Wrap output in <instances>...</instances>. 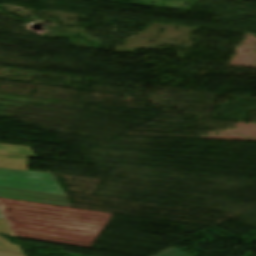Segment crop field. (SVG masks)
Wrapping results in <instances>:
<instances>
[{
  "mask_svg": "<svg viewBox=\"0 0 256 256\" xmlns=\"http://www.w3.org/2000/svg\"><path fill=\"white\" fill-rule=\"evenodd\" d=\"M0 168L28 171V158L0 155Z\"/></svg>",
  "mask_w": 256,
  "mask_h": 256,
  "instance_id": "34b2d1b8",
  "label": "crop field"
},
{
  "mask_svg": "<svg viewBox=\"0 0 256 256\" xmlns=\"http://www.w3.org/2000/svg\"><path fill=\"white\" fill-rule=\"evenodd\" d=\"M0 154L36 158L30 147L0 144Z\"/></svg>",
  "mask_w": 256,
  "mask_h": 256,
  "instance_id": "412701ff",
  "label": "crop field"
},
{
  "mask_svg": "<svg viewBox=\"0 0 256 256\" xmlns=\"http://www.w3.org/2000/svg\"><path fill=\"white\" fill-rule=\"evenodd\" d=\"M0 213L16 237L90 248L111 213L0 198Z\"/></svg>",
  "mask_w": 256,
  "mask_h": 256,
  "instance_id": "8a807250",
  "label": "crop field"
},
{
  "mask_svg": "<svg viewBox=\"0 0 256 256\" xmlns=\"http://www.w3.org/2000/svg\"><path fill=\"white\" fill-rule=\"evenodd\" d=\"M156 256H191V255L172 247Z\"/></svg>",
  "mask_w": 256,
  "mask_h": 256,
  "instance_id": "dd49c442",
  "label": "crop field"
},
{
  "mask_svg": "<svg viewBox=\"0 0 256 256\" xmlns=\"http://www.w3.org/2000/svg\"><path fill=\"white\" fill-rule=\"evenodd\" d=\"M0 234L14 236V234L10 231L5 220L0 219ZM0 250L14 251V252H22L21 247L10 245L7 239H3L0 237Z\"/></svg>",
  "mask_w": 256,
  "mask_h": 256,
  "instance_id": "f4fd0767",
  "label": "crop field"
},
{
  "mask_svg": "<svg viewBox=\"0 0 256 256\" xmlns=\"http://www.w3.org/2000/svg\"><path fill=\"white\" fill-rule=\"evenodd\" d=\"M0 192L65 202L0 194L3 198L72 207L52 174L0 169Z\"/></svg>",
  "mask_w": 256,
  "mask_h": 256,
  "instance_id": "ac0d7876",
  "label": "crop field"
}]
</instances>
